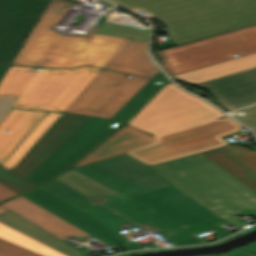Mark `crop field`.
Here are the masks:
<instances>
[{"mask_svg": "<svg viewBox=\"0 0 256 256\" xmlns=\"http://www.w3.org/2000/svg\"><path fill=\"white\" fill-rule=\"evenodd\" d=\"M170 82L115 134L72 167L123 154L149 166L229 145L220 136L240 131L241 125Z\"/></svg>", "mask_w": 256, "mask_h": 256, "instance_id": "crop-field-1", "label": "crop field"}, {"mask_svg": "<svg viewBox=\"0 0 256 256\" xmlns=\"http://www.w3.org/2000/svg\"><path fill=\"white\" fill-rule=\"evenodd\" d=\"M40 187L117 231L126 229L137 235L157 228L167 231L161 235L173 246L202 243L181 225L73 169ZM132 226L140 230L133 232Z\"/></svg>", "mask_w": 256, "mask_h": 256, "instance_id": "crop-field-2", "label": "crop field"}, {"mask_svg": "<svg viewBox=\"0 0 256 256\" xmlns=\"http://www.w3.org/2000/svg\"><path fill=\"white\" fill-rule=\"evenodd\" d=\"M167 26L175 44L256 23V0H110Z\"/></svg>", "mask_w": 256, "mask_h": 256, "instance_id": "crop-field-3", "label": "crop field"}, {"mask_svg": "<svg viewBox=\"0 0 256 256\" xmlns=\"http://www.w3.org/2000/svg\"><path fill=\"white\" fill-rule=\"evenodd\" d=\"M71 3L51 0L12 64L75 68H104L129 41L94 34L108 16H103L87 37L67 36L51 28L65 15Z\"/></svg>", "mask_w": 256, "mask_h": 256, "instance_id": "crop-field-4", "label": "crop field"}, {"mask_svg": "<svg viewBox=\"0 0 256 256\" xmlns=\"http://www.w3.org/2000/svg\"><path fill=\"white\" fill-rule=\"evenodd\" d=\"M149 167L238 229L250 225L233 216L256 218V194L201 153Z\"/></svg>", "mask_w": 256, "mask_h": 256, "instance_id": "crop-field-5", "label": "crop field"}, {"mask_svg": "<svg viewBox=\"0 0 256 256\" xmlns=\"http://www.w3.org/2000/svg\"><path fill=\"white\" fill-rule=\"evenodd\" d=\"M10 66L0 96L21 97L14 107L64 112L102 71L99 68L49 69Z\"/></svg>", "mask_w": 256, "mask_h": 256, "instance_id": "crop-field-6", "label": "crop field"}, {"mask_svg": "<svg viewBox=\"0 0 256 256\" xmlns=\"http://www.w3.org/2000/svg\"><path fill=\"white\" fill-rule=\"evenodd\" d=\"M159 52L171 75L245 56L256 52V25Z\"/></svg>", "mask_w": 256, "mask_h": 256, "instance_id": "crop-field-7", "label": "crop field"}, {"mask_svg": "<svg viewBox=\"0 0 256 256\" xmlns=\"http://www.w3.org/2000/svg\"><path fill=\"white\" fill-rule=\"evenodd\" d=\"M2 205L11 210L0 214V222L68 256H87L61 240L68 236L86 240L90 235L21 196Z\"/></svg>", "mask_w": 256, "mask_h": 256, "instance_id": "crop-field-8", "label": "crop field"}, {"mask_svg": "<svg viewBox=\"0 0 256 256\" xmlns=\"http://www.w3.org/2000/svg\"><path fill=\"white\" fill-rule=\"evenodd\" d=\"M103 70L65 111L111 119L149 80Z\"/></svg>", "mask_w": 256, "mask_h": 256, "instance_id": "crop-field-9", "label": "crop field"}, {"mask_svg": "<svg viewBox=\"0 0 256 256\" xmlns=\"http://www.w3.org/2000/svg\"><path fill=\"white\" fill-rule=\"evenodd\" d=\"M100 163L206 225L223 221L150 168L126 155Z\"/></svg>", "mask_w": 256, "mask_h": 256, "instance_id": "crop-field-10", "label": "crop field"}, {"mask_svg": "<svg viewBox=\"0 0 256 256\" xmlns=\"http://www.w3.org/2000/svg\"><path fill=\"white\" fill-rule=\"evenodd\" d=\"M122 124L89 117L26 179L37 184L57 176Z\"/></svg>", "mask_w": 256, "mask_h": 256, "instance_id": "crop-field-11", "label": "crop field"}, {"mask_svg": "<svg viewBox=\"0 0 256 256\" xmlns=\"http://www.w3.org/2000/svg\"><path fill=\"white\" fill-rule=\"evenodd\" d=\"M50 0H0V63L11 64Z\"/></svg>", "mask_w": 256, "mask_h": 256, "instance_id": "crop-field-12", "label": "crop field"}, {"mask_svg": "<svg viewBox=\"0 0 256 256\" xmlns=\"http://www.w3.org/2000/svg\"><path fill=\"white\" fill-rule=\"evenodd\" d=\"M87 118V116L62 113L11 171L26 178Z\"/></svg>", "mask_w": 256, "mask_h": 256, "instance_id": "crop-field-13", "label": "crop field"}, {"mask_svg": "<svg viewBox=\"0 0 256 256\" xmlns=\"http://www.w3.org/2000/svg\"><path fill=\"white\" fill-rule=\"evenodd\" d=\"M228 111L256 103V68L196 84Z\"/></svg>", "mask_w": 256, "mask_h": 256, "instance_id": "crop-field-14", "label": "crop field"}, {"mask_svg": "<svg viewBox=\"0 0 256 256\" xmlns=\"http://www.w3.org/2000/svg\"><path fill=\"white\" fill-rule=\"evenodd\" d=\"M45 112L11 109L0 123V164ZM10 131L8 134L4 133ZM5 161V160H4Z\"/></svg>", "mask_w": 256, "mask_h": 256, "instance_id": "crop-field-15", "label": "crop field"}, {"mask_svg": "<svg viewBox=\"0 0 256 256\" xmlns=\"http://www.w3.org/2000/svg\"><path fill=\"white\" fill-rule=\"evenodd\" d=\"M147 44L130 40L105 68L152 77L159 69L147 55Z\"/></svg>", "mask_w": 256, "mask_h": 256, "instance_id": "crop-field-16", "label": "crop field"}, {"mask_svg": "<svg viewBox=\"0 0 256 256\" xmlns=\"http://www.w3.org/2000/svg\"><path fill=\"white\" fill-rule=\"evenodd\" d=\"M256 67V53L230 61L218 63L201 69L193 70L183 74L173 76L189 83H200L228 74L236 73L246 69Z\"/></svg>", "mask_w": 256, "mask_h": 256, "instance_id": "crop-field-17", "label": "crop field"}, {"mask_svg": "<svg viewBox=\"0 0 256 256\" xmlns=\"http://www.w3.org/2000/svg\"><path fill=\"white\" fill-rule=\"evenodd\" d=\"M203 154L256 193V175L224 150L219 148Z\"/></svg>", "mask_w": 256, "mask_h": 256, "instance_id": "crop-field-18", "label": "crop field"}, {"mask_svg": "<svg viewBox=\"0 0 256 256\" xmlns=\"http://www.w3.org/2000/svg\"><path fill=\"white\" fill-rule=\"evenodd\" d=\"M60 114L61 113L46 112L1 165L11 170Z\"/></svg>", "mask_w": 256, "mask_h": 256, "instance_id": "crop-field-19", "label": "crop field"}, {"mask_svg": "<svg viewBox=\"0 0 256 256\" xmlns=\"http://www.w3.org/2000/svg\"><path fill=\"white\" fill-rule=\"evenodd\" d=\"M98 34L148 41L150 27L141 26L134 19L126 21L113 20L108 17L104 24L96 32Z\"/></svg>", "mask_w": 256, "mask_h": 256, "instance_id": "crop-field-20", "label": "crop field"}, {"mask_svg": "<svg viewBox=\"0 0 256 256\" xmlns=\"http://www.w3.org/2000/svg\"><path fill=\"white\" fill-rule=\"evenodd\" d=\"M153 77L165 79L164 81L150 79L131 100L112 118L126 121L145 101H147L168 79L159 70Z\"/></svg>", "mask_w": 256, "mask_h": 256, "instance_id": "crop-field-21", "label": "crop field"}, {"mask_svg": "<svg viewBox=\"0 0 256 256\" xmlns=\"http://www.w3.org/2000/svg\"><path fill=\"white\" fill-rule=\"evenodd\" d=\"M0 238L43 256H66L2 223H0Z\"/></svg>", "mask_w": 256, "mask_h": 256, "instance_id": "crop-field-22", "label": "crop field"}, {"mask_svg": "<svg viewBox=\"0 0 256 256\" xmlns=\"http://www.w3.org/2000/svg\"><path fill=\"white\" fill-rule=\"evenodd\" d=\"M0 183L20 194L35 184L0 166Z\"/></svg>", "mask_w": 256, "mask_h": 256, "instance_id": "crop-field-23", "label": "crop field"}, {"mask_svg": "<svg viewBox=\"0 0 256 256\" xmlns=\"http://www.w3.org/2000/svg\"><path fill=\"white\" fill-rule=\"evenodd\" d=\"M226 152L256 174V153L239 146L222 147Z\"/></svg>", "mask_w": 256, "mask_h": 256, "instance_id": "crop-field-24", "label": "crop field"}, {"mask_svg": "<svg viewBox=\"0 0 256 256\" xmlns=\"http://www.w3.org/2000/svg\"><path fill=\"white\" fill-rule=\"evenodd\" d=\"M0 256H41L0 239Z\"/></svg>", "mask_w": 256, "mask_h": 256, "instance_id": "crop-field-25", "label": "crop field"}, {"mask_svg": "<svg viewBox=\"0 0 256 256\" xmlns=\"http://www.w3.org/2000/svg\"><path fill=\"white\" fill-rule=\"evenodd\" d=\"M240 111L246 112L245 116H237L234 112L231 115L244 122L248 126L252 127L256 132V105L242 109ZM251 128V129H252Z\"/></svg>", "mask_w": 256, "mask_h": 256, "instance_id": "crop-field-26", "label": "crop field"}, {"mask_svg": "<svg viewBox=\"0 0 256 256\" xmlns=\"http://www.w3.org/2000/svg\"><path fill=\"white\" fill-rule=\"evenodd\" d=\"M19 98H5L0 97V121L9 112V110L14 106Z\"/></svg>", "mask_w": 256, "mask_h": 256, "instance_id": "crop-field-27", "label": "crop field"}, {"mask_svg": "<svg viewBox=\"0 0 256 256\" xmlns=\"http://www.w3.org/2000/svg\"><path fill=\"white\" fill-rule=\"evenodd\" d=\"M18 194L12 192L11 190L7 189L6 187L0 185V202L7 200L11 197H14Z\"/></svg>", "mask_w": 256, "mask_h": 256, "instance_id": "crop-field-28", "label": "crop field"}, {"mask_svg": "<svg viewBox=\"0 0 256 256\" xmlns=\"http://www.w3.org/2000/svg\"><path fill=\"white\" fill-rule=\"evenodd\" d=\"M238 251L256 256V243L237 249Z\"/></svg>", "mask_w": 256, "mask_h": 256, "instance_id": "crop-field-29", "label": "crop field"}, {"mask_svg": "<svg viewBox=\"0 0 256 256\" xmlns=\"http://www.w3.org/2000/svg\"><path fill=\"white\" fill-rule=\"evenodd\" d=\"M211 256H251V255H247V254H244V253L234 250V251L228 252L224 255H211Z\"/></svg>", "mask_w": 256, "mask_h": 256, "instance_id": "crop-field-30", "label": "crop field"}, {"mask_svg": "<svg viewBox=\"0 0 256 256\" xmlns=\"http://www.w3.org/2000/svg\"><path fill=\"white\" fill-rule=\"evenodd\" d=\"M8 68L9 66L0 64V80L2 79Z\"/></svg>", "mask_w": 256, "mask_h": 256, "instance_id": "crop-field-31", "label": "crop field"}, {"mask_svg": "<svg viewBox=\"0 0 256 256\" xmlns=\"http://www.w3.org/2000/svg\"><path fill=\"white\" fill-rule=\"evenodd\" d=\"M7 210H9V209H7V208H5V207L0 205V213L5 212Z\"/></svg>", "mask_w": 256, "mask_h": 256, "instance_id": "crop-field-32", "label": "crop field"}]
</instances>
